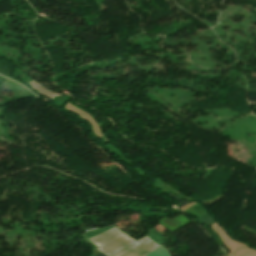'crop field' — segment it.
Here are the masks:
<instances>
[{
  "label": "crop field",
  "instance_id": "2",
  "mask_svg": "<svg viewBox=\"0 0 256 256\" xmlns=\"http://www.w3.org/2000/svg\"><path fill=\"white\" fill-rule=\"evenodd\" d=\"M200 222H202L205 225H210L216 220L206 211L203 214H201L199 217H197Z\"/></svg>",
  "mask_w": 256,
  "mask_h": 256
},
{
  "label": "crop field",
  "instance_id": "3",
  "mask_svg": "<svg viewBox=\"0 0 256 256\" xmlns=\"http://www.w3.org/2000/svg\"><path fill=\"white\" fill-rule=\"evenodd\" d=\"M147 256H170L165 249H163L161 246L158 247L156 250L148 254Z\"/></svg>",
  "mask_w": 256,
  "mask_h": 256
},
{
  "label": "crop field",
  "instance_id": "4",
  "mask_svg": "<svg viewBox=\"0 0 256 256\" xmlns=\"http://www.w3.org/2000/svg\"><path fill=\"white\" fill-rule=\"evenodd\" d=\"M96 256H105V255L99 252Z\"/></svg>",
  "mask_w": 256,
  "mask_h": 256
},
{
  "label": "crop field",
  "instance_id": "1",
  "mask_svg": "<svg viewBox=\"0 0 256 256\" xmlns=\"http://www.w3.org/2000/svg\"><path fill=\"white\" fill-rule=\"evenodd\" d=\"M113 226L115 225L91 230L85 233L84 238L86 241H88L95 247L99 246L100 247L99 249L108 256H145L146 254L151 252L153 249H155L157 246L161 245V243L165 239L151 229L145 236L149 237L159 245H157L152 240L144 236H143L144 238L141 237L142 239L139 238L140 240L137 239L138 241L133 238L134 240L137 241L136 242L133 239H131L132 238L131 236H130L131 238L128 237L129 235L128 236L125 235L126 233L125 234L122 233L117 228H115L116 226L115 227ZM88 239L91 240L93 243H95L97 246L93 244L91 241H89Z\"/></svg>",
  "mask_w": 256,
  "mask_h": 256
}]
</instances>
